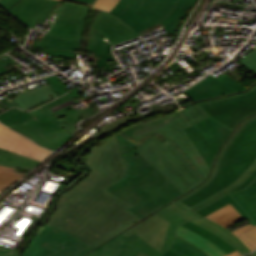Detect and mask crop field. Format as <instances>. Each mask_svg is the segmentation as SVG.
<instances>
[{
	"instance_id": "b80d0937",
	"label": "crop field",
	"mask_w": 256,
	"mask_h": 256,
	"mask_svg": "<svg viewBox=\"0 0 256 256\" xmlns=\"http://www.w3.org/2000/svg\"><path fill=\"white\" fill-rule=\"evenodd\" d=\"M49 251L31 242L30 247L24 252L22 256H46Z\"/></svg>"
},
{
	"instance_id": "d1516ede",
	"label": "crop field",
	"mask_w": 256,
	"mask_h": 256,
	"mask_svg": "<svg viewBox=\"0 0 256 256\" xmlns=\"http://www.w3.org/2000/svg\"><path fill=\"white\" fill-rule=\"evenodd\" d=\"M247 89L245 86L224 74L219 78L209 76L184 92L194 101L226 95L235 91H243Z\"/></svg>"
},
{
	"instance_id": "730fd06b",
	"label": "crop field",
	"mask_w": 256,
	"mask_h": 256,
	"mask_svg": "<svg viewBox=\"0 0 256 256\" xmlns=\"http://www.w3.org/2000/svg\"><path fill=\"white\" fill-rule=\"evenodd\" d=\"M185 132L196 146L206 163H208V165L211 167L214 156L198 130L196 124L185 129Z\"/></svg>"
},
{
	"instance_id": "b54c1fbb",
	"label": "crop field",
	"mask_w": 256,
	"mask_h": 256,
	"mask_svg": "<svg viewBox=\"0 0 256 256\" xmlns=\"http://www.w3.org/2000/svg\"><path fill=\"white\" fill-rule=\"evenodd\" d=\"M43 51H45L50 56H59V57H71L76 58L74 52L71 51H65V50H53V49H43L39 48Z\"/></svg>"
},
{
	"instance_id": "ac0d7876",
	"label": "crop field",
	"mask_w": 256,
	"mask_h": 256,
	"mask_svg": "<svg viewBox=\"0 0 256 256\" xmlns=\"http://www.w3.org/2000/svg\"><path fill=\"white\" fill-rule=\"evenodd\" d=\"M255 179L256 115L241 122L228 138L205 182L176 201L201 219L231 203L244 218L255 225L228 195L245 190Z\"/></svg>"
},
{
	"instance_id": "5d738f31",
	"label": "crop field",
	"mask_w": 256,
	"mask_h": 256,
	"mask_svg": "<svg viewBox=\"0 0 256 256\" xmlns=\"http://www.w3.org/2000/svg\"><path fill=\"white\" fill-rule=\"evenodd\" d=\"M19 253V251L11 250L3 246H0V256H18Z\"/></svg>"
},
{
	"instance_id": "dafd665d",
	"label": "crop field",
	"mask_w": 256,
	"mask_h": 256,
	"mask_svg": "<svg viewBox=\"0 0 256 256\" xmlns=\"http://www.w3.org/2000/svg\"><path fill=\"white\" fill-rule=\"evenodd\" d=\"M40 162L0 149V165L32 170Z\"/></svg>"
},
{
	"instance_id": "0fb4a251",
	"label": "crop field",
	"mask_w": 256,
	"mask_h": 256,
	"mask_svg": "<svg viewBox=\"0 0 256 256\" xmlns=\"http://www.w3.org/2000/svg\"><path fill=\"white\" fill-rule=\"evenodd\" d=\"M61 1H62V0H61ZM69 1H73V2H77V3H80V4H84V5L90 6V4H86V3H82V2H78V1H74V0H69Z\"/></svg>"
},
{
	"instance_id": "5142ce71",
	"label": "crop field",
	"mask_w": 256,
	"mask_h": 256,
	"mask_svg": "<svg viewBox=\"0 0 256 256\" xmlns=\"http://www.w3.org/2000/svg\"><path fill=\"white\" fill-rule=\"evenodd\" d=\"M168 209L176 213L178 216L183 218L184 220H189L220 237L221 239L228 242L231 246H233L236 250H238L241 254L248 253L250 250L232 233L221 227L220 225L206 219L203 217L201 220L193 213L189 212L185 208H183L180 204L174 201L172 204L166 206Z\"/></svg>"
},
{
	"instance_id": "c21b1889",
	"label": "crop field",
	"mask_w": 256,
	"mask_h": 256,
	"mask_svg": "<svg viewBox=\"0 0 256 256\" xmlns=\"http://www.w3.org/2000/svg\"><path fill=\"white\" fill-rule=\"evenodd\" d=\"M75 97L79 98L80 96L77 93L76 89L73 88L69 93H67V94H65V95H63V96H61V97H59V98H57V99H55V100L45 104V105L48 108H50L52 106H55L57 104H60L62 102H65V101L70 100V99L75 98Z\"/></svg>"
},
{
	"instance_id": "dd49c442",
	"label": "crop field",
	"mask_w": 256,
	"mask_h": 256,
	"mask_svg": "<svg viewBox=\"0 0 256 256\" xmlns=\"http://www.w3.org/2000/svg\"><path fill=\"white\" fill-rule=\"evenodd\" d=\"M0 122L51 150H56L71 137L38 109L24 112L12 108L0 114Z\"/></svg>"
},
{
	"instance_id": "25e5ab78",
	"label": "crop field",
	"mask_w": 256,
	"mask_h": 256,
	"mask_svg": "<svg viewBox=\"0 0 256 256\" xmlns=\"http://www.w3.org/2000/svg\"><path fill=\"white\" fill-rule=\"evenodd\" d=\"M137 239H139V237L135 234V235L128 238V243L131 242V241L137 240Z\"/></svg>"
},
{
	"instance_id": "028f5c9d",
	"label": "crop field",
	"mask_w": 256,
	"mask_h": 256,
	"mask_svg": "<svg viewBox=\"0 0 256 256\" xmlns=\"http://www.w3.org/2000/svg\"><path fill=\"white\" fill-rule=\"evenodd\" d=\"M79 55L80 56L88 55L89 61H97L99 67L105 65L112 72V70L110 69L109 65L106 62V61L115 60V58L113 57L112 54L101 55V54H83V53H79Z\"/></svg>"
},
{
	"instance_id": "1f2cbd36",
	"label": "crop field",
	"mask_w": 256,
	"mask_h": 256,
	"mask_svg": "<svg viewBox=\"0 0 256 256\" xmlns=\"http://www.w3.org/2000/svg\"><path fill=\"white\" fill-rule=\"evenodd\" d=\"M227 256H241V254L239 252L235 251Z\"/></svg>"
},
{
	"instance_id": "ae1a2a85",
	"label": "crop field",
	"mask_w": 256,
	"mask_h": 256,
	"mask_svg": "<svg viewBox=\"0 0 256 256\" xmlns=\"http://www.w3.org/2000/svg\"><path fill=\"white\" fill-rule=\"evenodd\" d=\"M80 43L81 41L77 40L62 39L51 35H44L39 47L79 51Z\"/></svg>"
},
{
	"instance_id": "92a150f3",
	"label": "crop field",
	"mask_w": 256,
	"mask_h": 256,
	"mask_svg": "<svg viewBox=\"0 0 256 256\" xmlns=\"http://www.w3.org/2000/svg\"><path fill=\"white\" fill-rule=\"evenodd\" d=\"M243 211L256 223V191L246 189L230 195Z\"/></svg>"
},
{
	"instance_id": "dbb93151",
	"label": "crop field",
	"mask_w": 256,
	"mask_h": 256,
	"mask_svg": "<svg viewBox=\"0 0 256 256\" xmlns=\"http://www.w3.org/2000/svg\"><path fill=\"white\" fill-rule=\"evenodd\" d=\"M78 1H82V2H86V3L92 4V2H93L94 0H78Z\"/></svg>"
},
{
	"instance_id": "a9b5d70f",
	"label": "crop field",
	"mask_w": 256,
	"mask_h": 256,
	"mask_svg": "<svg viewBox=\"0 0 256 256\" xmlns=\"http://www.w3.org/2000/svg\"><path fill=\"white\" fill-rule=\"evenodd\" d=\"M156 213H158L160 216H162L163 218H165L167 221L170 222L169 229L165 238V242L161 251V253L163 254L165 251L169 249V247L172 245V243L175 240L176 227L178 225L183 224L186 221H184L183 219H181L180 217H178L177 215H175L173 212H171L165 207Z\"/></svg>"
},
{
	"instance_id": "733c2abd",
	"label": "crop field",
	"mask_w": 256,
	"mask_h": 256,
	"mask_svg": "<svg viewBox=\"0 0 256 256\" xmlns=\"http://www.w3.org/2000/svg\"><path fill=\"white\" fill-rule=\"evenodd\" d=\"M89 107L81 110L72 109L70 106L62 110L52 113L45 105L38 108L48 118L55 122L61 128L63 127L68 133L73 136V131L76 129L75 123L86 117H90L91 114L88 110Z\"/></svg>"
},
{
	"instance_id": "bc2a9ffb",
	"label": "crop field",
	"mask_w": 256,
	"mask_h": 256,
	"mask_svg": "<svg viewBox=\"0 0 256 256\" xmlns=\"http://www.w3.org/2000/svg\"><path fill=\"white\" fill-rule=\"evenodd\" d=\"M52 95L56 98L54 92L48 85H44L30 91L17 95L18 97L13 99L22 109H28L38 104L51 99L48 95Z\"/></svg>"
},
{
	"instance_id": "89e229c0",
	"label": "crop field",
	"mask_w": 256,
	"mask_h": 256,
	"mask_svg": "<svg viewBox=\"0 0 256 256\" xmlns=\"http://www.w3.org/2000/svg\"><path fill=\"white\" fill-rule=\"evenodd\" d=\"M248 188L256 190V180Z\"/></svg>"
},
{
	"instance_id": "00972430",
	"label": "crop field",
	"mask_w": 256,
	"mask_h": 256,
	"mask_svg": "<svg viewBox=\"0 0 256 256\" xmlns=\"http://www.w3.org/2000/svg\"><path fill=\"white\" fill-rule=\"evenodd\" d=\"M141 198H143L147 203L142 204L140 206L131 208L130 210L133 211L135 214H137L142 219L154 212L155 210L165 206L171 200L161 197L158 199L153 200L145 191L138 194Z\"/></svg>"
},
{
	"instance_id": "d3111659",
	"label": "crop field",
	"mask_w": 256,
	"mask_h": 256,
	"mask_svg": "<svg viewBox=\"0 0 256 256\" xmlns=\"http://www.w3.org/2000/svg\"><path fill=\"white\" fill-rule=\"evenodd\" d=\"M203 237H205L206 239L212 241L213 243H215L217 246H219L222 250H224L227 254L235 251L234 248H232L228 243L224 242L223 240H221L220 238H218L217 236H215L214 234H212L211 232L191 223V222H186L183 225H181Z\"/></svg>"
},
{
	"instance_id": "4a817a6b",
	"label": "crop field",
	"mask_w": 256,
	"mask_h": 256,
	"mask_svg": "<svg viewBox=\"0 0 256 256\" xmlns=\"http://www.w3.org/2000/svg\"><path fill=\"white\" fill-rule=\"evenodd\" d=\"M197 126L214 156L232 131L210 117L197 123ZM212 128H214V130H212Z\"/></svg>"
},
{
	"instance_id": "9d1cf04e",
	"label": "crop field",
	"mask_w": 256,
	"mask_h": 256,
	"mask_svg": "<svg viewBox=\"0 0 256 256\" xmlns=\"http://www.w3.org/2000/svg\"><path fill=\"white\" fill-rule=\"evenodd\" d=\"M251 255H252V256H256V251H255V252H253V253H251Z\"/></svg>"
},
{
	"instance_id": "e1f06a70",
	"label": "crop field",
	"mask_w": 256,
	"mask_h": 256,
	"mask_svg": "<svg viewBox=\"0 0 256 256\" xmlns=\"http://www.w3.org/2000/svg\"><path fill=\"white\" fill-rule=\"evenodd\" d=\"M101 37L103 36L100 33L94 31L92 53L105 54L106 41L103 40Z\"/></svg>"
},
{
	"instance_id": "412701ff",
	"label": "crop field",
	"mask_w": 256,
	"mask_h": 256,
	"mask_svg": "<svg viewBox=\"0 0 256 256\" xmlns=\"http://www.w3.org/2000/svg\"><path fill=\"white\" fill-rule=\"evenodd\" d=\"M118 152L126 165L124 177L109 191L137 206L145 203L137 194L145 190L153 199L165 196L171 200L182 195L162 174L148 163L135 145L116 134Z\"/></svg>"
},
{
	"instance_id": "1d79db26",
	"label": "crop field",
	"mask_w": 256,
	"mask_h": 256,
	"mask_svg": "<svg viewBox=\"0 0 256 256\" xmlns=\"http://www.w3.org/2000/svg\"><path fill=\"white\" fill-rule=\"evenodd\" d=\"M87 256H99V255H95V254L90 253Z\"/></svg>"
},
{
	"instance_id": "c035e120",
	"label": "crop field",
	"mask_w": 256,
	"mask_h": 256,
	"mask_svg": "<svg viewBox=\"0 0 256 256\" xmlns=\"http://www.w3.org/2000/svg\"><path fill=\"white\" fill-rule=\"evenodd\" d=\"M239 61L252 72H256V49Z\"/></svg>"
},
{
	"instance_id": "5a996713",
	"label": "crop field",
	"mask_w": 256,
	"mask_h": 256,
	"mask_svg": "<svg viewBox=\"0 0 256 256\" xmlns=\"http://www.w3.org/2000/svg\"><path fill=\"white\" fill-rule=\"evenodd\" d=\"M86 166L97 169L115 183L122 178L125 165L117 153L115 136L103 145L91 148L86 158Z\"/></svg>"
},
{
	"instance_id": "28ad6ade",
	"label": "crop field",
	"mask_w": 256,
	"mask_h": 256,
	"mask_svg": "<svg viewBox=\"0 0 256 256\" xmlns=\"http://www.w3.org/2000/svg\"><path fill=\"white\" fill-rule=\"evenodd\" d=\"M168 224L169 222L160 217L158 214L154 213L143 221L134 225L133 227L122 233L126 237V240L123 250H121L117 256H125L127 237L134 233H136L141 239L156 248L158 251H161Z\"/></svg>"
},
{
	"instance_id": "d23c7cc5",
	"label": "crop field",
	"mask_w": 256,
	"mask_h": 256,
	"mask_svg": "<svg viewBox=\"0 0 256 256\" xmlns=\"http://www.w3.org/2000/svg\"><path fill=\"white\" fill-rule=\"evenodd\" d=\"M78 101H80V100H79V99H77V100L72 99V100L67 101V102H65V103H62V104H60V105H57V106H55V107H52V108H50V110H51L52 112H54V111L59 110V109H61V108L67 107V106H69V105H72V104H74V103H76V102H78Z\"/></svg>"
},
{
	"instance_id": "8a807250",
	"label": "crop field",
	"mask_w": 256,
	"mask_h": 256,
	"mask_svg": "<svg viewBox=\"0 0 256 256\" xmlns=\"http://www.w3.org/2000/svg\"><path fill=\"white\" fill-rule=\"evenodd\" d=\"M113 184L92 170L80 184L60 195L57 210L46 223L96 247L142 220L129 210L133 205L106 190Z\"/></svg>"
},
{
	"instance_id": "3316defc",
	"label": "crop field",
	"mask_w": 256,
	"mask_h": 256,
	"mask_svg": "<svg viewBox=\"0 0 256 256\" xmlns=\"http://www.w3.org/2000/svg\"><path fill=\"white\" fill-rule=\"evenodd\" d=\"M90 8L76 4L65 3L60 15L47 34L53 36L81 40L85 18Z\"/></svg>"
},
{
	"instance_id": "120bbe31",
	"label": "crop field",
	"mask_w": 256,
	"mask_h": 256,
	"mask_svg": "<svg viewBox=\"0 0 256 256\" xmlns=\"http://www.w3.org/2000/svg\"><path fill=\"white\" fill-rule=\"evenodd\" d=\"M140 118H142V116L139 113H137V114L126 116L118 121L111 122L108 125L104 126L103 129L95 136V138L97 139L127 123H130Z\"/></svg>"
},
{
	"instance_id": "e52e79f7",
	"label": "crop field",
	"mask_w": 256,
	"mask_h": 256,
	"mask_svg": "<svg viewBox=\"0 0 256 256\" xmlns=\"http://www.w3.org/2000/svg\"><path fill=\"white\" fill-rule=\"evenodd\" d=\"M197 104L210 117L233 130L242 119L256 113V85L245 93Z\"/></svg>"
},
{
	"instance_id": "22f410ed",
	"label": "crop field",
	"mask_w": 256,
	"mask_h": 256,
	"mask_svg": "<svg viewBox=\"0 0 256 256\" xmlns=\"http://www.w3.org/2000/svg\"><path fill=\"white\" fill-rule=\"evenodd\" d=\"M0 148L42 162L53 152L40 147L0 123Z\"/></svg>"
},
{
	"instance_id": "73cf0c24",
	"label": "crop field",
	"mask_w": 256,
	"mask_h": 256,
	"mask_svg": "<svg viewBox=\"0 0 256 256\" xmlns=\"http://www.w3.org/2000/svg\"><path fill=\"white\" fill-rule=\"evenodd\" d=\"M9 71H7L6 69H4L2 66H0V75L4 74V73H8Z\"/></svg>"
},
{
	"instance_id": "1d83c4d3",
	"label": "crop field",
	"mask_w": 256,
	"mask_h": 256,
	"mask_svg": "<svg viewBox=\"0 0 256 256\" xmlns=\"http://www.w3.org/2000/svg\"><path fill=\"white\" fill-rule=\"evenodd\" d=\"M24 175L26 174L16 172V171L0 169V191H3L8 187H10L12 184L17 182Z\"/></svg>"
},
{
	"instance_id": "d8731c3e",
	"label": "crop field",
	"mask_w": 256,
	"mask_h": 256,
	"mask_svg": "<svg viewBox=\"0 0 256 256\" xmlns=\"http://www.w3.org/2000/svg\"><path fill=\"white\" fill-rule=\"evenodd\" d=\"M33 242L52 253L48 256H84L94 247L48 225H44L35 235Z\"/></svg>"
},
{
	"instance_id": "03da06ac",
	"label": "crop field",
	"mask_w": 256,
	"mask_h": 256,
	"mask_svg": "<svg viewBox=\"0 0 256 256\" xmlns=\"http://www.w3.org/2000/svg\"><path fill=\"white\" fill-rule=\"evenodd\" d=\"M119 0H96L93 8L110 11Z\"/></svg>"
},
{
	"instance_id": "eef30255",
	"label": "crop field",
	"mask_w": 256,
	"mask_h": 256,
	"mask_svg": "<svg viewBox=\"0 0 256 256\" xmlns=\"http://www.w3.org/2000/svg\"><path fill=\"white\" fill-rule=\"evenodd\" d=\"M162 256H208L190 243L176 237L174 244Z\"/></svg>"
},
{
	"instance_id": "4177f3b9",
	"label": "crop field",
	"mask_w": 256,
	"mask_h": 256,
	"mask_svg": "<svg viewBox=\"0 0 256 256\" xmlns=\"http://www.w3.org/2000/svg\"><path fill=\"white\" fill-rule=\"evenodd\" d=\"M224 227H229L244 218L237 212V210L230 204L208 216H206Z\"/></svg>"
},
{
	"instance_id": "5866460e",
	"label": "crop field",
	"mask_w": 256,
	"mask_h": 256,
	"mask_svg": "<svg viewBox=\"0 0 256 256\" xmlns=\"http://www.w3.org/2000/svg\"><path fill=\"white\" fill-rule=\"evenodd\" d=\"M251 250L256 249V226L236 234Z\"/></svg>"
},
{
	"instance_id": "0bd39190",
	"label": "crop field",
	"mask_w": 256,
	"mask_h": 256,
	"mask_svg": "<svg viewBox=\"0 0 256 256\" xmlns=\"http://www.w3.org/2000/svg\"><path fill=\"white\" fill-rule=\"evenodd\" d=\"M121 135L122 137H124L125 139L129 140L130 142H132L133 144L136 145V148L138 146H140L141 144H143L145 141H147L148 139H150L151 137H155L157 138L159 141H161L162 143L167 140L168 138L166 136H164L161 132L159 133H156V134H152V135H149V136H146L138 141L134 140L133 138H131L129 135H127L126 133H121L119 134Z\"/></svg>"
},
{
	"instance_id": "750c4746",
	"label": "crop field",
	"mask_w": 256,
	"mask_h": 256,
	"mask_svg": "<svg viewBox=\"0 0 256 256\" xmlns=\"http://www.w3.org/2000/svg\"><path fill=\"white\" fill-rule=\"evenodd\" d=\"M124 236L122 234L116 236L111 239L104 245L100 246L96 250L92 251V253L99 254L102 256H116L118 252L121 250L124 243Z\"/></svg>"
},
{
	"instance_id": "cbeb9de0",
	"label": "crop field",
	"mask_w": 256,
	"mask_h": 256,
	"mask_svg": "<svg viewBox=\"0 0 256 256\" xmlns=\"http://www.w3.org/2000/svg\"><path fill=\"white\" fill-rule=\"evenodd\" d=\"M93 29L100 32L113 44L138 37V35L121 20L109 13L100 11L90 29L89 53H91Z\"/></svg>"
},
{
	"instance_id": "f4fd0767",
	"label": "crop field",
	"mask_w": 256,
	"mask_h": 256,
	"mask_svg": "<svg viewBox=\"0 0 256 256\" xmlns=\"http://www.w3.org/2000/svg\"><path fill=\"white\" fill-rule=\"evenodd\" d=\"M198 0H120L110 13L137 33L161 23L173 36L180 20Z\"/></svg>"
},
{
	"instance_id": "34b2d1b8",
	"label": "crop field",
	"mask_w": 256,
	"mask_h": 256,
	"mask_svg": "<svg viewBox=\"0 0 256 256\" xmlns=\"http://www.w3.org/2000/svg\"><path fill=\"white\" fill-rule=\"evenodd\" d=\"M189 126L190 123L179 111L123 130L136 140L159 131L169 138L162 144L153 137L136 150L182 194L200 184L210 172L183 130Z\"/></svg>"
},
{
	"instance_id": "d32e631a",
	"label": "crop field",
	"mask_w": 256,
	"mask_h": 256,
	"mask_svg": "<svg viewBox=\"0 0 256 256\" xmlns=\"http://www.w3.org/2000/svg\"><path fill=\"white\" fill-rule=\"evenodd\" d=\"M182 113L185 115L191 125L208 117V115L198 105L182 110Z\"/></svg>"
},
{
	"instance_id": "425ffa30",
	"label": "crop field",
	"mask_w": 256,
	"mask_h": 256,
	"mask_svg": "<svg viewBox=\"0 0 256 256\" xmlns=\"http://www.w3.org/2000/svg\"><path fill=\"white\" fill-rule=\"evenodd\" d=\"M249 227H251V224H248V225H246V226H244V227H242V228H239V229L233 231V233L235 234V233H237V232H239V231H241V230H244V229H246V228H249Z\"/></svg>"
},
{
	"instance_id": "d9b57169",
	"label": "crop field",
	"mask_w": 256,
	"mask_h": 256,
	"mask_svg": "<svg viewBox=\"0 0 256 256\" xmlns=\"http://www.w3.org/2000/svg\"><path fill=\"white\" fill-rule=\"evenodd\" d=\"M58 2L55 0H21L8 12L28 27L33 28L39 18H47Z\"/></svg>"
},
{
	"instance_id": "214f88e0",
	"label": "crop field",
	"mask_w": 256,
	"mask_h": 256,
	"mask_svg": "<svg viewBox=\"0 0 256 256\" xmlns=\"http://www.w3.org/2000/svg\"><path fill=\"white\" fill-rule=\"evenodd\" d=\"M177 235L181 236L182 238L186 239L187 241L191 242L195 246L199 247L210 256H224L226 255L219 247H217L212 242L206 240L205 238L179 226L177 228Z\"/></svg>"
},
{
	"instance_id": "bd1437ed",
	"label": "crop field",
	"mask_w": 256,
	"mask_h": 256,
	"mask_svg": "<svg viewBox=\"0 0 256 256\" xmlns=\"http://www.w3.org/2000/svg\"><path fill=\"white\" fill-rule=\"evenodd\" d=\"M140 251L149 256L162 255L160 252H158L153 247L145 243L143 240L139 239L128 244L126 256H136Z\"/></svg>"
}]
</instances>
